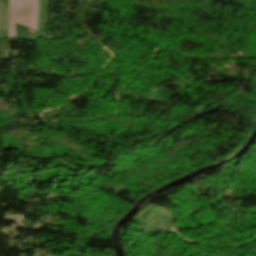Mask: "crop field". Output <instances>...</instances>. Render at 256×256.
Segmentation results:
<instances>
[{"label":"crop field","mask_w":256,"mask_h":256,"mask_svg":"<svg viewBox=\"0 0 256 256\" xmlns=\"http://www.w3.org/2000/svg\"><path fill=\"white\" fill-rule=\"evenodd\" d=\"M37 10H38V0H36V20H35V30H36V22H37Z\"/></svg>","instance_id":"1"}]
</instances>
